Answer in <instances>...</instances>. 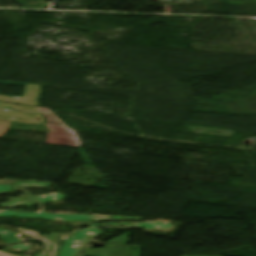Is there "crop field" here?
<instances>
[{
    "label": "crop field",
    "mask_w": 256,
    "mask_h": 256,
    "mask_svg": "<svg viewBox=\"0 0 256 256\" xmlns=\"http://www.w3.org/2000/svg\"><path fill=\"white\" fill-rule=\"evenodd\" d=\"M40 95V86L26 84L24 94L22 97L38 99Z\"/></svg>",
    "instance_id": "obj_3"
},
{
    "label": "crop field",
    "mask_w": 256,
    "mask_h": 256,
    "mask_svg": "<svg viewBox=\"0 0 256 256\" xmlns=\"http://www.w3.org/2000/svg\"><path fill=\"white\" fill-rule=\"evenodd\" d=\"M23 112V111H22Z\"/></svg>",
    "instance_id": "obj_9"
},
{
    "label": "crop field",
    "mask_w": 256,
    "mask_h": 256,
    "mask_svg": "<svg viewBox=\"0 0 256 256\" xmlns=\"http://www.w3.org/2000/svg\"><path fill=\"white\" fill-rule=\"evenodd\" d=\"M0 256H14V255L3 253V251L0 250Z\"/></svg>",
    "instance_id": "obj_7"
},
{
    "label": "crop field",
    "mask_w": 256,
    "mask_h": 256,
    "mask_svg": "<svg viewBox=\"0 0 256 256\" xmlns=\"http://www.w3.org/2000/svg\"><path fill=\"white\" fill-rule=\"evenodd\" d=\"M39 108H40L41 112H44L46 119L49 120V123H48L47 125H49V126H57V127H65V128H67L60 120H58V119L54 116V114H53L51 111H49L48 109H45V108H41V107H39ZM46 112H48V113L56 120L55 125H50L51 122H52V119L48 116V114H47Z\"/></svg>",
    "instance_id": "obj_6"
},
{
    "label": "crop field",
    "mask_w": 256,
    "mask_h": 256,
    "mask_svg": "<svg viewBox=\"0 0 256 256\" xmlns=\"http://www.w3.org/2000/svg\"><path fill=\"white\" fill-rule=\"evenodd\" d=\"M8 129L12 130H29V131H39L48 132L45 126L17 123V122H6L0 121V138L6 133Z\"/></svg>",
    "instance_id": "obj_1"
},
{
    "label": "crop field",
    "mask_w": 256,
    "mask_h": 256,
    "mask_svg": "<svg viewBox=\"0 0 256 256\" xmlns=\"http://www.w3.org/2000/svg\"><path fill=\"white\" fill-rule=\"evenodd\" d=\"M1 103H14V104H23V105H31L33 100L25 99V98H17V97H8V96H0Z\"/></svg>",
    "instance_id": "obj_5"
},
{
    "label": "crop field",
    "mask_w": 256,
    "mask_h": 256,
    "mask_svg": "<svg viewBox=\"0 0 256 256\" xmlns=\"http://www.w3.org/2000/svg\"><path fill=\"white\" fill-rule=\"evenodd\" d=\"M0 83H4V84H15V85H21V86H24L25 84H19V83H10V82H1Z\"/></svg>",
    "instance_id": "obj_8"
},
{
    "label": "crop field",
    "mask_w": 256,
    "mask_h": 256,
    "mask_svg": "<svg viewBox=\"0 0 256 256\" xmlns=\"http://www.w3.org/2000/svg\"><path fill=\"white\" fill-rule=\"evenodd\" d=\"M18 2L22 7L29 8H46L45 0H14Z\"/></svg>",
    "instance_id": "obj_4"
},
{
    "label": "crop field",
    "mask_w": 256,
    "mask_h": 256,
    "mask_svg": "<svg viewBox=\"0 0 256 256\" xmlns=\"http://www.w3.org/2000/svg\"><path fill=\"white\" fill-rule=\"evenodd\" d=\"M46 127L50 131L48 134V143L56 144V138L60 137L59 144L65 145L66 138H68V139H71V142H70V145H67V146H79V144L76 141V135L73 132H71L69 129H66L69 132V136H65V133L63 130L65 128H58L59 134L55 135L54 129L57 127H49V126H46Z\"/></svg>",
    "instance_id": "obj_2"
}]
</instances>
